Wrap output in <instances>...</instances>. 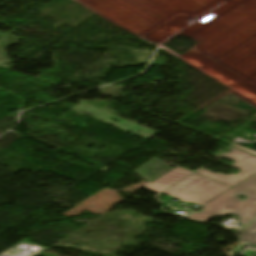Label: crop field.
<instances>
[{
    "instance_id": "crop-field-1",
    "label": "crop field",
    "mask_w": 256,
    "mask_h": 256,
    "mask_svg": "<svg viewBox=\"0 0 256 256\" xmlns=\"http://www.w3.org/2000/svg\"><path fill=\"white\" fill-rule=\"evenodd\" d=\"M237 194L249 198L241 201L236 198ZM204 207V211L188 218L205 222L212 216H224L227 213H232L240 215L242 224H248L256 217V173Z\"/></svg>"
},
{
    "instance_id": "crop-field-2",
    "label": "crop field",
    "mask_w": 256,
    "mask_h": 256,
    "mask_svg": "<svg viewBox=\"0 0 256 256\" xmlns=\"http://www.w3.org/2000/svg\"><path fill=\"white\" fill-rule=\"evenodd\" d=\"M203 177L195 173L164 193L181 198L184 202H195L204 206L232 188L207 177V180H204Z\"/></svg>"
},
{
    "instance_id": "crop-field-3",
    "label": "crop field",
    "mask_w": 256,
    "mask_h": 256,
    "mask_svg": "<svg viewBox=\"0 0 256 256\" xmlns=\"http://www.w3.org/2000/svg\"><path fill=\"white\" fill-rule=\"evenodd\" d=\"M231 149V148H230ZM232 152L224 153L219 157L231 158L236 164L232 165V167L242 170L238 174H231L226 176L222 173L215 174L204 168L200 169L197 173L207 176L209 178L215 179L232 187L236 186L252 174L256 172V157L252 156L248 153H245L241 150H238L232 147Z\"/></svg>"
},
{
    "instance_id": "crop-field-4",
    "label": "crop field",
    "mask_w": 256,
    "mask_h": 256,
    "mask_svg": "<svg viewBox=\"0 0 256 256\" xmlns=\"http://www.w3.org/2000/svg\"><path fill=\"white\" fill-rule=\"evenodd\" d=\"M171 169L173 168L154 157L133 172L151 183Z\"/></svg>"
},
{
    "instance_id": "crop-field-5",
    "label": "crop field",
    "mask_w": 256,
    "mask_h": 256,
    "mask_svg": "<svg viewBox=\"0 0 256 256\" xmlns=\"http://www.w3.org/2000/svg\"><path fill=\"white\" fill-rule=\"evenodd\" d=\"M190 173L192 172L177 167L165 174L164 176L160 177L150 185L146 186V188L152 191L160 192L169 185L173 184L174 182L178 181L179 179Z\"/></svg>"
},
{
    "instance_id": "crop-field-6",
    "label": "crop field",
    "mask_w": 256,
    "mask_h": 256,
    "mask_svg": "<svg viewBox=\"0 0 256 256\" xmlns=\"http://www.w3.org/2000/svg\"><path fill=\"white\" fill-rule=\"evenodd\" d=\"M240 238L249 244L256 245V220L246 227Z\"/></svg>"
},
{
    "instance_id": "crop-field-7",
    "label": "crop field",
    "mask_w": 256,
    "mask_h": 256,
    "mask_svg": "<svg viewBox=\"0 0 256 256\" xmlns=\"http://www.w3.org/2000/svg\"><path fill=\"white\" fill-rule=\"evenodd\" d=\"M234 146L239 147V148H241V149H243V150H246V151H248V152H251V153H253V154H256V151L250 150V149L245 148V147H242V146H240V145L235 144Z\"/></svg>"
}]
</instances>
